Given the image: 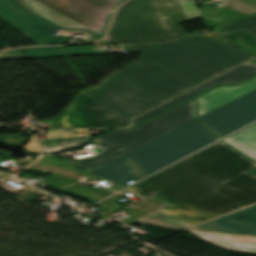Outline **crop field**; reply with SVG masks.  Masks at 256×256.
Returning <instances> with one entry per match:
<instances>
[{"label":"crop field","mask_w":256,"mask_h":256,"mask_svg":"<svg viewBox=\"0 0 256 256\" xmlns=\"http://www.w3.org/2000/svg\"><path fill=\"white\" fill-rule=\"evenodd\" d=\"M256 162L220 141L121 192L149 199L121 222L180 230L256 203Z\"/></svg>","instance_id":"obj_1"},{"label":"crop field","mask_w":256,"mask_h":256,"mask_svg":"<svg viewBox=\"0 0 256 256\" xmlns=\"http://www.w3.org/2000/svg\"><path fill=\"white\" fill-rule=\"evenodd\" d=\"M251 58L219 36L173 51L141 52L138 62L116 73L166 101Z\"/></svg>","instance_id":"obj_2"},{"label":"crop field","mask_w":256,"mask_h":256,"mask_svg":"<svg viewBox=\"0 0 256 256\" xmlns=\"http://www.w3.org/2000/svg\"><path fill=\"white\" fill-rule=\"evenodd\" d=\"M218 139L195 119L91 172L126 186Z\"/></svg>","instance_id":"obj_3"},{"label":"crop field","mask_w":256,"mask_h":256,"mask_svg":"<svg viewBox=\"0 0 256 256\" xmlns=\"http://www.w3.org/2000/svg\"><path fill=\"white\" fill-rule=\"evenodd\" d=\"M201 18L195 0H130L98 44L168 40L184 35L180 23Z\"/></svg>","instance_id":"obj_4"},{"label":"crop field","mask_w":256,"mask_h":256,"mask_svg":"<svg viewBox=\"0 0 256 256\" xmlns=\"http://www.w3.org/2000/svg\"><path fill=\"white\" fill-rule=\"evenodd\" d=\"M36 18V27L52 34L50 44H65L69 37L56 29L83 31L89 42L103 37L115 9L125 0H6ZM102 39V38H101Z\"/></svg>","instance_id":"obj_5"},{"label":"crop field","mask_w":256,"mask_h":256,"mask_svg":"<svg viewBox=\"0 0 256 256\" xmlns=\"http://www.w3.org/2000/svg\"><path fill=\"white\" fill-rule=\"evenodd\" d=\"M196 102L189 101L132 130H115L96 138L95 143L102 151L93 157L74 162L65 161L90 171L115 157L134 149L195 118Z\"/></svg>","instance_id":"obj_6"},{"label":"crop field","mask_w":256,"mask_h":256,"mask_svg":"<svg viewBox=\"0 0 256 256\" xmlns=\"http://www.w3.org/2000/svg\"><path fill=\"white\" fill-rule=\"evenodd\" d=\"M186 231L223 249L256 254V205Z\"/></svg>","instance_id":"obj_7"},{"label":"crop field","mask_w":256,"mask_h":256,"mask_svg":"<svg viewBox=\"0 0 256 256\" xmlns=\"http://www.w3.org/2000/svg\"><path fill=\"white\" fill-rule=\"evenodd\" d=\"M81 93L130 118L165 102L115 73Z\"/></svg>","instance_id":"obj_8"},{"label":"crop field","mask_w":256,"mask_h":256,"mask_svg":"<svg viewBox=\"0 0 256 256\" xmlns=\"http://www.w3.org/2000/svg\"><path fill=\"white\" fill-rule=\"evenodd\" d=\"M49 123L55 124L52 129L128 127L130 118L80 93L57 119Z\"/></svg>","instance_id":"obj_9"},{"label":"crop field","mask_w":256,"mask_h":256,"mask_svg":"<svg viewBox=\"0 0 256 256\" xmlns=\"http://www.w3.org/2000/svg\"><path fill=\"white\" fill-rule=\"evenodd\" d=\"M211 130L224 137L256 120V90L202 117Z\"/></svg>","instance_id":"obj_10"},{"label":"crop field","mask_w":256,"mask_h":256,"mask_svg":"<svg viewBox=\"0 0 256 256\" xmlns=\"http://www.w3.org/2000/svg\"><path fill=\"white\" fill-rule=\"evenodd\" d=\"M256 73V64L246 62L192 90L189 92L133 119L132 126L137 125L217 84H238Z\"/></svg>","instance_id":"obj_11"},{"label":"crop field","mask_w":256,"mask_h":256,"mask_svg":"<svg viewBox=\"0 0 256 256\" xmlns=\"http://www.w3.org/2000/svg\"><path fill=\"white\" fill-rule=\"evenodd\" d=\"M255 24H256V15L216 26L215 32L209 33L207 35H189V36H186L177 40L169 41V42L130 44V45H124V46H125V49L131 52L173 50L176 48H180V47L193 44L199 41H203L219 35H222V36L227 35V34L239 31V29L241 28H245Z\"/></svg>","instance_id":"obj_12"},{"label":"crop field","mask_w":256,"mask_h":256,"mask_svg":"<svg viewBox=\"0 0 256 256\" xmlns=\"http://www.w3.org/2000/svg\"><path fill=\"white\" fill-rule=\"evenodd\" d=\"M256 89V77L239 86H221L194 100L199 102L198 116H202L252 90Z\"/></svg>","instance_id":"obj_13"},{"label":"crop field","mask_w":256,"mask_h":256,"mask_svg":"<svg viewBox=\"0 0 256 256\" xmlns=\"http://www.w3.org/2000/svg\"><path fill=\"white\" fill-rule=\"evenodd\" d=\"M206 22L217 25L256 13V0H224L218 7L203 4Z\"/></svg>","instance_id":"obj_14"},{"label":"crop field","mask_w":256,"mask_h":256,"mask_svg":"<svg viewBox=\"0 0 256 256\" xmlns=\"http://www.w3.org/2000/svg\"><path fill=\"white\" fill-rule=\"evenodd\" d=\"M6 1V0H5ZM0 0V16L38 45L48 44L52 35L41 33L34 27L36 19Z\"/></svg>","instance_id":"obj_15"},{"label":"crop field","mask_w":256,"mask_h":256,"mask_svg":"<svg viewBox=\"0 0 256 256\" xmlns=\"http://www.w3.org/2000/svg\"><path fill=\"white\" fill-rule=\"evenodd\" d=\"M88 129L71 130L61 132L60 130L48 131L47 140H39L44 152L54 153L68 147H78L89 139Z\"/></svg>","instance_id":"obj_16"},{"label":"crop field","mask_w":256,"mask_h":256,"mask_svg":"<svg viewBox=\"0 0 256 256\" xmlns=\"http://www.w3.org/2000/svg\"><path fill=\"white\" fill-rule=\"evenodd\" d=\"M224 140L228 144L256 160V124Z\"/></svg>","instance_id":"obj_17"},{"label":"crop field","mask_w":256,"mask_h":256,"mask_svg":"<svg viewBox=\"0 0 256 256\" xmlns=\"http://www.w3.org/2000/svg\"><path fill=\"white\" fill-rule=\"evenodd\" d=\"M78 174L86 176V177H91V178L105 179L103 177L95 175V174H93L91 172H87V171L82 170L80 168H77V169H74V170H70V171H67V172H63V173H59V174H55V175H52L50 177H47L46 179H48L50 182L53 183L50 187L58 189V188L65 187V186H67V185H69V184L79 180V179L75 178ZM71 175H73V176L69 177ZM113 183L115 185L110 187L111 190L118 191V190L124 188V186H122V185H119V184H117L115 182H113Z\"/></svg>","instance_id":"obj_18"},{"label":"crop field","mask_w":256,"mask_h":256,"mask_svg":"<svg viewBox=\"0 0 256 256\" xmlns=\"http://www.w3.org/2000/svg\"><path fill=\"white\" fill-rule=\"evenodd\" d=\"M2 54L5 60L68 56L65 48L47 50H27L26 52H20L19 50L16 51L15 49H12L9 51L2 52Z\"/></svg>","instance_id":"obj_19"},{"label":"crop field","mask_w":256,"mask_h":256,"mask_svg":"<svg viewBox=\"0 0 256 256\" xmlns=\"http://www.w3.org/2000/svg\"><path fill=\"white\" fill-rule=\"evenodd\" d=\"M64 192L70 193L72 195L78 196L80 198H83L85 200L91 201L93 203L103 199L104 197L114 193L108 189L105 190H99L95 187L92 188H88V187H84V188H80L76 185H73L71 187L68 188H64V189H60Z\"/></svg>","instance_id":"obj_20"},{"label":"crop field","mask_w":256,"mask_h":256,"mask_svg":"<svg viewBox=\"0 0 256 256\" xmlns=\"http://www.w3.org/2000/svg\"><path fill=\"white\" fill-rule=\"evenodd\" d=\"M42 159H44V161L39 160L36 164H34L33 166H31L28 169L35 170V171H38L41 173L50 172L52 174H55V173L67 171V170H70L73 168H77L72 165H69L64 162L57 161L54 159H50V158H46V157H43ZM60 165H62L64 167L61 168V167H59Z\"/></svg>","instance_id":"obj_21"},{"label":"crop field","mask_w":256,"mask_h":256,"mask_svg":"<svg viewBox=\"0 0 256 256\" xmlns=\"http://www.w3.org/2000/svg\"><path fill=\"white\" fill-rule=\"evenodd\" d=\"M122 195L119 194H115L109 198H107L106 200L98 203L97 205H100L106 209H108L107 211H105L103 214H101L99 217L103 218V219H107L108 217H110L112 214L116 213L117 211H119L120 209L124 208L116 203H114L113 201L118 199L119 197H121Z\"/></svg>","instance_id":"obj_22"},{"label":"crop field","mask_w":256,"mask_h":256,"mask_svg":"<svg viewBox=\"0 0 256 256\" xmlns=\"http://www.w3.org/2000/svg\"><path fill=\"white\" fill-rule=\"evenodd\" d=\"M69 55L105 54V50L98 46L67 48Z\"/></svg>","instance_id":"obj_23"},{"label":"crop field","mask_w":256,"mask_h":256,"mask_svg":"<svg viewBox=\"0 0 256 256\" xmlns=\"http://www.w3.org/2000/svg\"><path fill=\"white\" fill-rule=\"evenodd\" d=\"M26 149H28L29 151L31 152H37V153H40L39 152V149L37 147V144H36V141L34 139V137L32 138V140L28 143L27 146H25Z\"/></svg>","instance_id":"obj_24"},{"label":"crop field","mask_w":256,"mask_h":256,"mask_svg":"<svg viewBox=\"0 0 256 256\" xmlns=\"http://www.w3.org/2000/svg\"><path fill=\"white\" fill-rule=\"evenodd\" d=\"M241 31L253 36L256 38V25L255 26H251L245 29H241Z\"/></svg>","instance_id":"obj_25"},{"label":"crop field","mask_w":256,"mask_h":256,"mask_svg":"<svg viewBox=\"0 0 256 256\" xmlns=\"http://www.w3.org/2000/svg\"><path fill=\"white\" fill-rule=\"evenodd\" d=\"M59 47H61V46H55V47H31V48H22V49H47V48H59Z\"/></svg>","instance_id":"obj_26"},{"label":"crop field","mask_w":256,"mask_h":256,"mask_svg":"<svg viewBox=\"0 0 256 256\" xmlns=\"http://www.w3.org/2000/svg\"><path fill=\"white\" fill-rule=\"evenodd\" d=\"M249 62H253V63H256V58L250 60Z\"/></svg>","instance_id":"obj_27"},{"label":"crop field","mask_w":256,"mask_h":256,"mask_svg":"<svg viewBox=\"0 0 256 256\" xmlns=\"http://www.w3.org/2000/svg\"><path fill=\"white\" fill-rule=\"evenodd\" d=\"M250 173H252V174L256 175V170H254V171H252V172H250Z\"/></svg>","instance_id":"obj_28"}]
</instances>
